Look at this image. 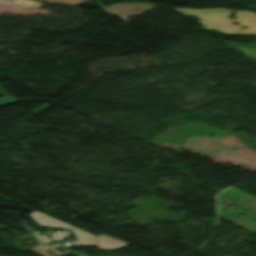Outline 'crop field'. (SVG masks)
I'll return each mask as SVG.
<instances>
[{"label": "crop field", "instance_id": "crop-field-5", "mask_svg": "<svg viewBox=\"0 0 256 256\" xmlns=\"http://www.w3.org/2000/svg\"><path fill=\"white\" fill-rule=\"evenodd\" d=\"M47 2H57L61 4H82L83 1H89V0H44Z\"/></svg>", "mask_w": 256, "mask_h": 256}, {"label": "crop field", "instance_id": "crop-field-3", "mask_svg": "<svg viewBox=\"0 0 256 256\" xmlns=\"http://www.w3.org/2000/svg\"><path fill=\"white\" fill-rule=\"evenodd\" d=\"M0 95H4L3 98H0V106H4V105L11 104V103L19 101L15 98L11 97L7 93H5L3 91V89L1 88V86H0Z\"/></svg>", "mask_w": 256, "mask_h": 256}, {"label": "crop field", "instance_id": "crop-field-6", "mask_svg": "<svg viewBox=\"0 0 256 256\" xmlns=\"http://www.w3.org/2000/svg\"><path fill=\"white\" fill-rule=\"evenodd\" d=\"M23 100H28V101H51L53 102L52 100L48 99V98H43V99H34V98H25Z\"/></svg>", "mask_w": 256, "mask_h": 256}, {"label": "crop field", "instance_id": "crop-field-4", "mask_svg": "<svg viewBox=\"0 0 256 256\" xmlns=\"http://www.w3.org/2000/svg\"><path fill=\"white\" fill-rule=\"evenodd\" d=\"M53 106H55V105L45 103V104H43V105H41V106L31 110L30 112H32L34 114L33 116H35V115H37V114H39V113H41L43 111L48 110L49 108H51ZM33 116H31V117H33ZM31 117H29V118H31ZM29 118H27V119H29ZM27 119H25V120H27ZM25 120H23V121H25Z\"/></svg>", "mask_w": 256, "mask_h": 256}, {"label": "crop field", "instance_id": "crop-field-2", "mask_svg": "<svg viewBox=\"0 0 256 256\" xmlns=\"http://www.w3.org/2000/svg\"><path fill=\"white\" fill-rule=\"evenodd\" d=\"M11 4L16 6L26 7L29 9H40L44 5L43 3H39L31 0H14Z\"/></svg>", "mask_w": 256, "mask_h": 256}, {"label": "crop field", "instance_id": "crop-field-1", "mask_svg": "<svg viewBox=\"0 0 256 256\" xmlns=\"http://www.w3.org/2000/svg\"><path fill=\"white\" fill-rule=\"evenodd\" d=\"M30 216L41 226L44 227H56V228H67L69 230H72L74 234L77 236L79 239L78 241L72 242L75 245H83V246H89V247H96V237L92 236L90 234H87L79 229L70 227L62 222L53 220L37 211H34L33 213L30 214ZM99 240V247L100 249H118L121 247H124L128 244H124L122 242H119L113 238H110L108 236H105L101 234L98 236Z\"/></svg>", "mask_w": 256, "mask_h": 256}]
</instances>
